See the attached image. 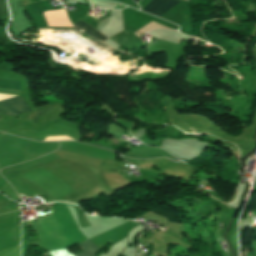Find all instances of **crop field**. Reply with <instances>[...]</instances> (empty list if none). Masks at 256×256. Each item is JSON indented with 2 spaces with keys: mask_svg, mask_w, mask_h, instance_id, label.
<instances>
[{
  "mask_svg": "<svg viewBox=\"0 0 256 256\" xmlns=\"http://www.w3.org/2000/svg\"><path fill=\"white\" fill-rule=\"evenodd\" d=\"M27 112H31V110L21 96L0 102V113L2 114L15 116Z\"/></svg>",
  "mask_w": 256,
  "mask_h": 256,
  "instance_id": "1",
  "label": "crop field"
},
{
  "mask_svg": "<svg viewBox=\"0 0 256 256\" xmlns=\"http://www.w3.org/2000/svg\"><path fill=\"white\" fill-rule=\"evenodd\" d=\"M136 3L139 1V0H134Z\"/></svg>",
  "mask_w": 256,
  "mask_h": 256,
  "instance_id": "5",
  "label": "crop field"
},
{
  "mask_svg": "<svg viewBox=\"0 0 256 256\" xmlns=\"http://www.w3.org/2000/svg\"><path fill=\"white\" fill-rule=\"evenodd\" d=\"M20 195V194H19Z\"/></svg>",
  "mask_w": 256,
  "mask_h": 256,
  "instance_id": "6",
  "label": "crop field"
},
{
  "mask_svg": "<svg viewBox=\"0 0 256 256\" xmlns=\"http://www.w3.org/2000/svg\"><path fill=\"white\" fill-rule=\"evenodd\" d=\"M75 24H77V25H78L79 27H81L82 29H84V30H86V31H88V32H90V33H92V34H94V35H96V36H98V37L104 39V40L108 39V38H106L104 35H102L101 33H99V32H97V31L93 30L92 28H90L89 26H87L85 23H83V22L80 21V20H79L77 23H75Z\"/></svg>",
  "mask_w": 256,
  "mask_h": 256,
  "instance_id": "4",
  "label": "crop field"
},
{
  "mask_svg": "<svg viewBox=\"0 0 256 256\" xmlns=\"http://www.w3.org/2000/svg\"><path fill=\"white\" fill-rule=\"evenodd\" d=\"M84 251L76 256H94L100 249L90 240L81 243ZM52 256H74L65 249L50 252Z\"/></svg>",
  "mask_w": 256,
  "mask_h": 256,
  "instance_id": "3",
  "label": "crop field"
},
{
  "mask_svg": "<svg viewBox=\"0 0 256 256\" xmlns=\"http://www.w3.org/2000/svg\"><path fill=\"white\" fill-rule=\"evenodd\" d=\"M178 3L180 2L176 0H152L143 11L161 17Z\"/></svg>",
  "mask_w": 256,
  "mask_h": 256,
  "instance_id": "2",
  "label": "crop field"
}]
</instances>
